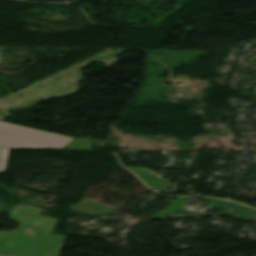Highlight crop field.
<instances>
[{
	"label": "crop field",
	"instance_id": "1",
	"mask_svg": "<svg viewBox=\"0 0 256 256\" xmlns=\"http://www.w3.org/2000/svg\"><path fill=\"white\" fill-rule=\"evenodd\" d=\"M39 208L16 205L10 219L21 222L16 233H0V255L59 256L65 236L49 235L55 219L38 215ZM5 239L22 240L14 248Z\"/></svg>",
	"mask_w": 256,
	"mask_h": 256
},
{
	"label": "crop field",
	"instance_id": "4",
	"mask_svg": "<svg viewBox=\"0 0 256 256\" xmlns=\"http://www.w3.org/2000/svg\"><path fill=\"white\" fill-rule=\"evenodd\" d=\"M21 241H13V240H6L5 246L13 247L15 244L20 243Z\"/></svg>",
	"mask_w": 256,
	"mask_h": 256
},
{
	"label": "crop field",
	"instance_id": "3",
	"mask_svg": "<svg viewBox=\"0 0 256 256\" xmlns=\"http://www.w3.org/2000/svg\"><path fill=\"white\" fill-rule=\"evenodd\" d=\"M9 149H0V172H4Z\"/></svg>",
	"mask_w": 256,
	"mask_h": 256
},
{
	"label": "crop field",
	"instance_id": "2",
	"mask_svg": "<svg viewBox=\"0 0 256 256\" xmlns=\"http://www.w3.org/2000/svg\"><path fill=\"white\" fill-rule=\"evenodd\" d=\"M75 138L0 121V147L65 148Z\"/></svg>",
	"mask_w": 256,
	"mask_h": 256
}]
</instances>
